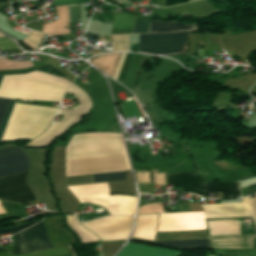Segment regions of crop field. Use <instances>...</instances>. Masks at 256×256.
I'll list each match as a JSON object with an SVG mask.
<instances>
[{
  "label": "crop field",
  "instance_id": "crop-field-1",
  "mask_svg": "<svg viewBox=\"0 0 256 256\" xmlns=\"http://www.w3.org/2000/svg\"><path fill=\"white\" fill-rule=\"evenodd\" d=\"M126 170L130 168L120 134L73 135L66 147V177Z\"/></svg>",
  "mask_w": 256,
  "mask_h": 256
},
{
  "label": "crop field",
  "instance_id": "crop-field-2",
  "mask_svg": "<svg viewBox=\"0 0 256 256\" xmlns=\"http://www.w3.org/2000/svg\"><path fill=\"white\" fill-rule=\"evenodd\" d=\"M28 170V158L23 149L11 147L0 150V177ZM27 173L0 178V198L17 203L36 199L27 186Z\"/></svg>",
  "mask_w": 256,
  "mask_h": 256
},
{
  "label": "crop field",
  "instance_id": "crop-field-3",
  "mask_svg": "<svg viewBox=\"0 0 256 256\" xmlns=\"http://www.w3.org/2000/svg\"><path fill=\"white\" fill-rule=\"evenodd\" d=\"M56 109L16 103L1 140L33 139L44 132Z\"/></svg>",
  "mask_w": 256,
  "mask_h": 256
},
{
  "label": "crop field",
  "instance_id": "crop-field-4",
  "mask_svg": "<svg viewBox=\"0 0 256 256\" xmlns=\"http://www.w3.org/2000/svg\"><path fill=\"white\" fill-rule=\"evenodd\" d=\"M52 248L70 245L73 240L60 227V218L41 221ZM41 223L15 235L16 254H23L51 248Z\"/></svg>",
  "mask_w": 256,
  "mask_h": 256
},
{
  "label": "crop field",
  "instance_id": "crop-field-5",
  "mask_svg": "<svg viewBox=\"0 0 256 256\" xmlns=\"http://www.w3.org/2000/svg\"><path fill=\"white\" fill-rule=\"evenodd\" d=\"M189 31L174 34L139 35L140 52L173 54L182 52Z\"/></svg>",
  "mask_w": 256,
  "mask_h": 256
},
{
  "label": "crop field",
  "instance_id": "crop-field-6",
  "mask_svg": "<svg viewBox=\"0 0 256 256\" xmlns=\"http://www.w3.org/2000/svg\"><path fill=\"white\" fill-rule=\"evenodd\" d=\"M133 217H104L87 223H81L94 232L101 241L127 240L131 232Z\"/></svg>",
  "mask_w": 256,
  "mask_h": 256
},
{
  "label": "crop field",
  "instance_id": "crop-field-7",
  "mask_svg": "<svg viewBox=\"0 0 256 256\" xmlns=\"http://www.w3.org/2000/svg\"><path fill=\"white\" fill-rule=\"evenodd\" d=\"M167 184L182 186L183 192L204 196V181L196 173L166 174Z\"/></svg>",
  "mask_w": 256,
  "mask_h": 256
},
{
  "label": "crop field",
  "instance_id": "crop-field-8",
  "mask_svg": "<svg viewBox=\"0 0 256 256\" xmlns=\"http://www.w3.org/2000/svg\"><path fill=\"white\" fill-rule=\"evenodd\" d=\"M181 252L143 244L128 243L117 256H180Z\"/></svg>",
  "mask_w": 256,
  "mask_h": 256
},
{
  "label": "crop field",
  "instance_id": "crop-field-9",
  "mask_svg": "<svg viewBox=\"0 0 256 256\" xmlns=\"http://www.w3.org/2000/svg\"><path fill=\"white\" fill-rule=\"evenodd\" d=\"M57 19L42 25V32L52 38L56 35L69 34V19L67 5L54 6Z\"/></svg>",
  "mask_w": 256,
  "mask_h": 256
},
{
  "label": "crop field",
  "instance_id": "crop-field-10",
  "mask_svg": "<svg viewBox=\"0 0 256 256\" xmlns=\"http://www.w3.org/2000/svg\"><path fill=\"white\" fill-rule=\"evenodd\" d=\"M184 212L205 211V215L243 213L241 203L220 205L183 204Z\"/></svg>",
  "mask_w": 256,
  "mask_h": 256
},
{
  "label": "crop field",
  "instance_id": "crop-field-11",
  "mask_svg": "<svg viewBox=\"0 0 256 256\" xmlns=\"http://www.w3.org/2000/svg\"><path fill=\"white\" fill-rule=\"evenodd\" d=\"M157 219L158 215L137 216L132 237L154 241Z\"/></svg>",
  "mask_w": 256,
  "mask_h": 256
},
{
  "label": "crop field",
  "instance_id": "crop-field-12",
  "mask_svg": "<svg viewBox=\"0 0 256 256\" xmlns=\"http://www.w3.org/2000/svg\"><path fill=\"white\" fill-rule=\"evenodd\" d=\"M210 236L240 234V223L231 220L207 221Z\"/></svg>",
  "mask_w": 256,
  "mask_h": 256
},
{
  "label": "crop field",
  "instance_id": "crop-field-13",
  "mask_svg": "<svg viewBox=\"0 0 256 256\" xmlns=\"http://www.w3.org/2000/svg\"><path fill=\"white\" fill-rule=\"evenodd\" d=\"M206 193L221 192L222 198L240 197V186L236 183L205 182Z\"/></svg>",
  "mask_w": 256,
  "mask_h": 256
},
{
  "label": "crop field",
  "instance_id": "crop-field-14",
  "mask_svg": "<svg viewBox=\"0 0 256 256\" xmlns=\"http://www.w3.org/2000/svg\"><path fill=\"white\" fill-rule=\"evenodd\" d=\"M120 54L121 53L100 55L93 58L90 62L93 63L104 74L113 77Z\"/></svg>",
  "mask_w": 256,
  "mask_h": 256
},
{
  "label": "crop field",
  "instance_id": "crop-field-15",
  "mask_svg": "<svg viewBox=\"0 0 256 256\" xmlns=\"http://www.w3.org/2000/svg\"><path fill=\"white\" fill-rule=\"evenodd\" d=\"M134 16L115 13L111 34H127L132 32Z\"/></svg>",
  "mask_w": 256,
  "mask_h": 256
},
{
  "label": "crop field",
  "instance_id": "crop-field-16",
  "mask_svg": "<svg viewBox=\"0 0 256 256\" xmlns=\"http://www.w3.org/2000/svg\"><path fill=\"white\" fill-rule=\"evenodd\" d=\"M198 28L197 25L150 22L148 33L174 32Z\"/></svg>",
  "mask_w": 256,
  "mask_h": 256
},
{
  "label": "crop field",
  "instance_id": "crop-field-17",
  "mask_svg": "<svg viewBox=\"0 0 256 256\" xmlns=\"http://www.w3.org/2000/svg\"><path fill=\"white\" fill-rule=\"evenodd\" d=\"M67 223L70 225V227L76 231L78 236L80 237L82 243L85 242H91V241H97L99 240L96 236H94L89 231L85 230L79 222L76 220L75 215H66Z\"/></svg>",
  "mask_w": 256,
  "mask_h": 256
},
{
  "label": "crop field",
  "instance_id": "crop-field-18",
  "mask_svg": "<svg viewBox=\"0 0 256 256\" xmlns=\"http://www.w3.org/2000/svg\"><path fill=\"white\" fill-rule=\"evenodd\" d=\"M156 244L172 246V247H209L208 239L164 241V242H156Z\"/></svg>",
  "mask_w": 256,
  "mask_h": 256
},
{
  "label": "crop field",
  "instance_id": "crop-field-19",
  "mask_svg": "<svg viewBox=\"0 0 256 256\" xmlns=\"http://www.w3.org/2000/svg\"><path fill=\"white\" fill-rule=\"evenodd\" d=\"M19 256H73L69 248L66 247H60V248H54Z\"/></svg>",
  "mask_w": 256,
  "mask_h": 256
},
{
  "label": "crop field",
  "instance_id": "crop-field-20",
  "mask_svg": "<svg viewBox=\"0 0 256 256\" xmlns=\"http://www.w3.org/2000/svg\"><path fill=\"white\" fill-rule=\"evenodd\" d=\"M31 61H8L7 58L0 59V70H12V69H26L32 67Z\"/></svg>",
  "mask_w": 256,
  "mask_h": 256
},
{
  "label": "crop field",
  "instance_id": "crop-field-21",
  "mask_svg": "<svg viewBox=\"0 0 256 256\" xmlns=\"http://www.w3.org/2000/svg\"><path fill=\"white\" fill-rule=\"evenodd\" d=\"M10 101H11V100H7V99L0 98V126H1V123H2L3 118H4V116H5V113H6V111H7V108H8V106H9ZM14 102H15V101L12 100L11 103H10V106H9V108H8V111H7V113H6V116H5V118H4V121H3L2 126H1V128H0V136H1V134H2V131H3V129H4V126H5V124H6V121H7L8 117H9V114H10V112H11V109H12V107H13Z\"/></svg>",
  "mask_w": 256,
  "mask_h": 256
},
{
  "label": "crop field",
  "instance_id": "crop-field-22",
  "mask_svg": "<svg viewBox=\"0 0 256 256\" xmlns=\"http://www.w3.org/2000/svg\"><path fill=\"white\" fill-rule=\"evenodd\" d=\"M44 36L45 35L39 32L32 31L30 36L26 37L21 42L24 43L30 49L36 51L38 49L37 45L40 44Z\"/></svg>",
  "mask_w": 256,
  "mask_h": 256
},
{
  "label": "crop field",
  "instance_id": "crop-field-23",
  "mask_svg": "<svg viewBox=\"0 0 256 256\" xmlns=\"http://www.w3.org/2000/svg\"><path fill=\"white\" fill-rule=\"evenodd\" d=\"M113 51H128V35L112 36Z\"/></svg>",
  "mask_w": 256,
  "mask_h": 256
},
{
  "label": "crop field",
  "instance_id": "crop-field-24",
  "mask_svg": "<svg viewBox=\"0 0 256 256\" xmlns=\"http://www.w3.org/2000/svg\"><path fill=\"white\" fill-rule=\"evenodd\" d=\"M95 182L125 179L124 172L93 175Z\"/></svg>",
  "mask_w": 256,
  "mask_h": 256
},
{
  "label": "crop field",
  "instance_id": "crop-field-25",
  "mask_svg": "<svg viewBox=\"0 0 256 256\" xmlns=\"http://www.w3.org/2000/svg\"><path fill=\"white\" fill-rule=\"evenodd\" d=\"M164 213L162 203H155L138 208L137 214Z\"/></svg>",
  "mask_w": 256,
  "mask_h": 256
},
{
  "label": "crop field",
  "instance_id": "crop-field-26",
  "mask_svg": "<svg viewBox=\"0 0 256 256\" xmlns=\"http://www.w3.org/2000/svg\"><path fill=\"white\" fill-rule=\"evenodd\" d=\"M133 55L134 54H132V53H127L126 54L125 60L123 62V65H122V68H121V71H120V74H119L118 79H117L122 84H124V81H125L128 69L130 67Z\"/></svg>",
  "mask_w": 256,
  "mask_h": 256
},
{
  "label": "crop field",
  "instance_id": "crop-field-27",
  "mask_svg": "<svg viewBox=\"0 0 256 256\" xmlns=\"http://www.w3.org/2000/svg\"><path fill=\"white\" fill-rule=\"evenodd\" d=\"M70 23H81L80 4L68 6Z\"/></svg>",
  "mask_w": 256,
  "mask_h": 256
},
{
  "label": "crop field",
  "instance_id": "crop-field-28",
  "mask_svg": "<svg viewBox=\"0 0 256 256\" xmlns=\"http://www.w3.org/2000/svg\"><path fill=\"white\" fill-rule=\"evenodd\" d=\"M148 24V21L136 17L133 33H147Z\"/></svg>",
  "mask_w": 256,
  "mask_h": 256
},
{
  "label": "crop field",
  "instance_id": "crop-field-29",
  "mask_svg": "<svg viewBox=\"0 0 256 256\" xmlns=\"http://www.w3.org/2000/svg\"><path fill=\"white\" fill-rule=\"evenodd\" d=\"M17 49V46L8 38H0V50Z\"/></svg>",
  "mask_w": 256,
  "mask_h": 256
},
{
  "label": "crop field",
  "instance_id": "crop-field-30",
  "mask_svg": "<svg viewBox=\"0 0 256 256\" xmlns=\"http://www.w3.org/2000/svg\"><path fill=\"white\" fill-rule=\"evenodd\" d=\"M34 223H36V222L22 224V225L16 226V227L11 228V229L0 230V234H2V233H10V232H12V234H14V233H16V232H18V231H20V230H22V229L32 225V224H34Z\"/></svg>",
  "mask_w": 256,
  "mask_h": 256
},
{
  "label": "crop field",
  "instance_id": "crop-field-31",
  "mask_svg": "<svg viewBox=\"0 0 256 256\" xmlns=\"http://www.w3.org/2000/svg\"><path fill=\"white\" fill-rule=\"evenodd\" d=\"M139 184H151L148 172H137Z\"/></svg>",
  "mask_w": 256,
  "mask_h": 256
},
{
  "label": "crop field",
  "instance_id": "crop-field-32",
  "mask_svg": "<svg viewBox=\"0 0 256 256\" xmlns=\"http://www.w3.org/2000/svg\"><path fill=\"white\" fill-rule=\"evenodd\" d=\"M154 185H166L164 174H153Z\"/></svg>",
  "mask_w": 256,
  "mask_h": 256
},
{
  "label": "crop field",
  "instance_id": "crop-field-33",
  "mask_svg": "<svg viewBox=\"0 0 256 256\" xmlns=\"http://www.w3.org/2000/svg\"><path fill=\"white\" fill-rule=\"evenodd\" d=\"M125 54H126V53H122V54H121V57H120L118 66H117V68H116V71H115V74H114V77H113L114 79H117V76H118V73H119V71H120V68H121L123 59H124V57H125Z\"/></svg>",
  "mask_w": 256,
  "mask_h": 256
},
{
  "label": "crop field",
  "instance_id": "crop-field-34",
  "mask_svg": "<svg viewBox=\"0 0 256 256\" xmlns=\"http://www.w3.org/2000/svg\"><path fill=\"white\" fill-rule=\"evenodd\" d=\"M183 149L181 148H173L172 156H180V157H187L185 154H183Z\"/></svg>",
  "mask_w": 256,
  "mask_h": 256
},
{
  "label": "crop field",
  "instance_id": "crop-field-35",
  "mask_svg": "<svg viewBox=\"0 0 256 256\" xmlns=\"http://www.w3.org/2000/svg\"><path fill=\"white\" fill-rule=\"evenodd\" d=\"M251 200H252V205H253L254 215H255V221H256V195H255V197H252Z\"/></svg>",
  "mask_w": 256,
  "mask_h": 256
},
{
  "label": "crop field",
  "instance_id": "crop-field-36",
  "mask_svg": "<svg viewBox=\"0 0 256 256\" xmlns=\"http://www.w3.org/2000/svg\"><path fill=\"white\" fill-rule=\"evenodd\" d=\"M11 255H13L11 251H9V252L1 251L0 252V256H11Z\"/></svg>",
  "mask_w": 256,
  "mask_h": 256
},
{
  "label": "crop field",
  "instance_id": "crop-field-37",
  "mask_svg": "<svg viewBox=\"0 0 256 256\" xmlns=\"http://www.w3.org/2000/svg\"><path fill=\"white\" fill-rule=\"evenodd\" d=\"M0 37H5V36H3L2 34H0Z\"/></svg>",
  "mask_w": 256,
  "mask_h": 256
},
{
  "label": "crop field",
  "instance_id": "crop-field-38",
  "mask_svg": "<svg viewBox=\"0 0 256 256\" xmlns=\"http://www.w3.org/2000/svg\"><path fill=\"white\" fill-rule=\"evenodd\" d=\"M2 77H3V76H0V82H1Z\"/></svg>",
  "mask_w": 256,
  "mask_h": 256
}]
</instances>
